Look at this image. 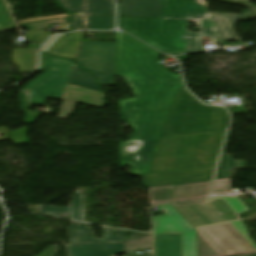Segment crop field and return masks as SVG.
Returning <instances> with one entry per match:
<instances>
[{
    "label": "crop field",
    "instance_id": "8a807250",
    "mask_svg": "<svg viewBox=\"0 0 256 256\" xmlns=\"http://www.w3.org/2000/svg\"><path fill=\"white\" fill-rule=\"evenodd\" d=\"M116 76L129 82L135 99L122 100L121 109L135 135L121 143L122 165L132 174L149 172L174 96L183 83L159 63V53L125 33H116Z\"/></svg>",
    "mask_w": 256,
    "mask_h": 256
},
{
    "label": "crop field",
    "instance_id": "ac0d7876",
    "mask_svg": "<svg viewBox=\"0 0 256 256\" xmlns=\"http://www.w3.org/2000/svg\"><path fill=\"white\" fill-rule=\"evenodd\" d=\"M201 31H187L190 21L159 20L118 16V25L156 49L169 55L202 51L204 37L218 39L219 33L212 18L197 21Z\"/></svg>",
    "mask_w": 256,
    "mask_h": 256
},
{
    "label": "crop field",
    "instance_id": "34b2d1b8",
    "mask_svg": "<svg viewBox=\"0 0 256 256\" xmlns=\"http://www.w3.org/2000/svg\"><path fill=\"white\" fill-rule=\"evenodd\" d=\"M224 133L162 137L149 173L215 165Z\"/></svg>",
    "mask_w": 256,
    "mask_h": 256
},
{
    "label": "crop field",
    "instance_id": "412701ff",
    "mask_svg": "<svg viewBox=\"0 0 256 256\" xmlns=\"http://www.w3.org/2000/svg\"><path fill=\"white\" fill-rule=\"evenodd\" d=\"M228 124L225 109L204 106L182 84L162 136L225 131Z\"/></svg>",
    "mask_w": 256,
    "mask_h": 256
},
{
    "label": "crop field",
    "instance_id": "f4fd0767",
    "mask_svg": "<svg viewBox=\"0 0 256 256\" xmlns=\"http://www.w3.org/2000/svg\"><path fill=\"white\" fill-rule=\"evenodd\" d=\"M197 229L199 256L256 254V244L248 237V231L242 220Z\"/></svg>",
    "mask_w": 256,
    "mask_h": 256
},
{
    "label": "crop field",
    "instance_id": "dd49c442",
    "mask_svg": "<svg viewBox=\"0 0 256 256\" xmlns=\"http://www.w3.org/2000/svg\"><path fill=\"white\" fill-rule=\"evenodd\" d=\"M173 206L195 227L240 220L238 214L247 211L237 197H213L207 201Z\"/></svg>",
    "mask_w": 256,
    "mask_h": 256
},
{
    "label": "crop field",
    "instance_id": "e52e79f7",
    "mask_svg": "<svg viewBox=\"0 0 256 256\" xmlns=\"http://www.w3.org/2000/svg\"><path fill=\"white\" fill-rule=\"evenodd\" d=\"M74 63L49 56L47 72L22 89L32 93L31 105H45L46 98L62 100Z\"/></svg>",
    "mask_w": 256,
    "mask_h": 256
},
{
    "label": "crop field",
    "instance_id": "d8731c3e",
    "mask_svg": "<svg viewBox=\"0 0 256 256\" xmlns=\"http://www.w3.org/2000/svg\"><path fill=\"white\" fill-rule=\"evenodd\" d=\"M81 66L92 70L101 85H113L114 43L81 42L77 55Z\"/></svg>",
    "mask_w": 256,
    "mask_h": 256
},
{
    "label": "crop field",
    "instance_id": "5a996713",
    "mask_svg": "<svg viewBox=\"0 0 256 256\" xmlns=\"http://www.w3.org/2000/svg\"><path fill=\"white\" fill-rule=\"evenodd\" d=\"M166 214L155 217V234H182L183 256H197V231L170 205H159Z\"/></svg>",
    "mask_w": 256,
    "mask_h": 256
},
{
    "label": "crop field",
    "instance_id": "3316defc",
    "mask_svg": "<svg viewBox=\"0 0 256 256\" xmlns=\"http://www.w3.org/2000/svg\"><path fill=\"white\" fill-rule=\"evenodd\" d=\"M215 166L141 175L146 187L212 179Z\"/></svg>",
    "mask_w": 256,
    "mask_h": 256
},
{
    "label": "crop field",
    "instance_id": "28ad6ade",
    "mask_svg": "<svg viewBox=\"0 0 256 256\" xmlns=\"http://www.w3.org/2000/svg\"><path fill=\"white\" fill-rule=\"evenodd\" d=\"M70 244L125 242V231L103 227V239H96L92 228L71 222L68 228Z\"/></svg>",
    "mask_w": 256,
    "mask_h": 256
},
{
    "label": "crop field",
    "instance_id": "d1516ede",
    "mask_svg": "<svg viewBox=\"0 0 256 256\" xmlns=\"http://www.w3.org/2000/svg\"><path fill=\"white\" fill-rule=\"evenodd\" d=\"M103 99H106V97L102 92L68 85L59 119H68L69 115L73 112L76 102L101 108L105 103Z\"/></svg>",
    "mask_w": 256,
    "mask_h": 256
},
{
    "label": "crop field",
    "instance_id": "22f410ed",
    "mask_svg": "<svg viewBox=\"0 0 256 256\" xmlns=\"http://www.w3.org/2000/svg\"><path fill=\"white\" fill-rule=\"evenodd\" d=\"M161 8L164 18L201 19L210 15L198 0H161Z\"/></svg>",
    "mask_w": 256,
    "mask_h": 256
},
{
    "label": "crop field",
    "instance_id": "cbeb9de0",
    "mask_svg": "<svg viewBox=\"0 0 256 256\" xmlns=\"http://www.w3.org/2000/svg\"><path fill=\"white\" fill-rule=\"evenodd\" d=\"M118 15L162 17L160 0H118Z\"/></svg>",
    "mask_w": 256,
    "mask_h": 256
},
{
    "label": "crop field",
    "instance_id": "5142ce71",
    "mask_svg": "<svg viewBox=\"0 0 256 256\" xmlns=\"http://www.w3.org/2000/svg\"><path fill=\"white\" fill-rule=\"evenodd\" d=\"M71 256H111L125 252L126 243L68 245Z\"/></svg>",
    "mask_w": 256,
    "mask_h": 256
},
{
    "label": "crop field",
    "instance_id": "d9b57169",
    "mask_svg": "<svg viewBox=\"0 0 256 256\" xmlns=\"http://www.w3.org/2000/svg\"><path fill=\"white\" fill-rule=\"evenodd\" d=\"M212 181L175 185L171 202L190 201L206 198Z\"/></svg>",
    "mask_w": 256,
    "mask_h": 256
},
{
    "label": "crop field",
    "instance_id": "733c2abd",
    "mask_svg": "<svg viewBox=\"0 0 256 256\" xmlns=\"http://www.w3.org/2000/svg\"><path fill=\"white\" fill-rule=\"evenodd\" d=\"M155 256H182L181 235H155Z\"/></svg>",
    "mask_w": 256,
    "mask_h": 256
},
{
    "label": "crop field",
    "instance_id": "4a817a6b",
    "mask_svg": "<svg viewBox=\"0 0 256 256\" xmlns=\"http://www.w3.org/2000/svg\"><path fill=\"white\" fill-rule=\"evenodd\" d=\"M126 242V256H137V250L142 251L138 256H152V253H146V250H152V237L150 235L134 233Z\"/></svg>",
    "mask_w": 256,
    "mask_h": 256
},
{
    "label": "crop field",
    "instance_id": "bc2a9ffb",
    "mask_svg": "<svg viewBox=\"0 0 256 256\" xmlns=\"http://www.w3.org/2000/svg\"><path fill=\"white\" fill-rule=\"evenodd\" d=\"M38 49H14V63L20 67L19 73H31L37 67Z\"/></svg>",
    "mask_w": 256,
    "mask_h": 256
},
{
    "label": "crop field",
    "instance_id": "214f88e0",
    "mask_svg": "<svg viewBox=\"0 0 256 256\" xmlns=\"http://www.w3.org/2000/svg\"><path fill=\"white\" fill-rule=\"evenodd\" d=\"M84 32L68 34L63 40L56 44L50 53L76 56Z\"/></svg>",
    "mask_w": 256,
    "mask_h": 256
},
{
    "label": "crop field",
    "instance_id": "92a150f3",
    "mask_svg": "<svg viewBox=\"0 0 256 256\" xmlns=\"http://www.w3.org/2000/svg\"><path fill=\"white\" fill-rule=\"evenodd\" d=\"M230 133L228 134V138L224 147V151L218 166V171H217V177L216 179L219 178H232L234 175L235 168H244L245 161H235L230 155L224 154L228 140L230 137Z\"/></svg>",
    "mask_w": 256,
    "mask_h": 256
},
{
    "label": "crop field",
    "instance_id": "dafd665d",
    "mask_svg": "<svg viewBox=\"0 0 256 256\" xmlns=\"http://www.w3.org/2000/svg\"><path fill=\"white\" fill-rule=\"evenodd\" d=\"M223 41H241L235 33V24L237 19L219 17L211 15Z\"/></svg>",
    "mask_w": 256,
    "mask_h": 256
},
{
    "label": "crop field",
    "instance_id": "00972430",
    "mask_svg": "<svg viewBox=\"0 0 256 256\" xmlns=\"http://www.w3.org/2000/svg\"><path fill=\"white\" fill-rule=\"evenodd\" d=\"M71 208H58V207H47L41 206L39 209L40 213H51V214H64L71 211L73 220L82 221V197L81 194H74Z\"/></svg>",
    "mask_w": 256,
    "mask_h": 256
},
{
    "label": "crop field",
    "instance_id": "a9b5d70f",
    "mask_svg": "<svg viewBox=\"0 0 256 256\" xmlns=\"http://www.w3.org/2000/svg\"><path fill=\"white\" fill-rule=\"evenodd\" d=\"M68 84L84 87L88 89L102 91L99 85L96 83L93 75L83 70L75 64L71 79ZM103 92V91H102Z\"/></svg>",
    "mask_w": 256,
    "mask_h": 256
},
{
    "label": "crop field",
    "instance_id": "4177f3b9",
    "mask_svg": "<svg viewBox=\"0 0 256 256\" xmlns=\"http://www.w3.org/2000/svg\"><path fill=\"white\" fill-rule=\"evenodd\" d=\"M86 13L115 15L114 0H86Z\"/></svg>",
    "mask_w": 256,
    "mask_h": 256
},
{
    "label": "crop field",
    "instance_id": "730fd06b",
    "mask_svg": "<svg viewBox=\"0 0 256 256\" xmlns=\"http://www.w3.org/2000/svg\"><path fill=\"white\" fill-rule=\"evenodd\" d=\"M172 190L173 185L151 188L149 192L150 203L160 204L170 202Z\"/></svg>",
    "mask_w": 256,
    "mask_h": 256
},
{
    "label": "crop field",
    "instance_id": "eef30255",
    "mask_svg": "<svg viewBox=\"0 0 256 256\" xmlns=\"http://www.w3.org/2000/svg\"><path fill=\"white\" fill-rule=\"evenodd\" d=\"M115 28L114 16H88V29L111 30Z\"/></svg>",
    "mask_w": 256,
    "mask_h": 256
},
{
    "label": "crop field",
    "instance_id": "ae1a2a85",
    "mask_svg": "<svg viewBox=\"0 0 256 256\" xmlns=\"http://www.w3.org/2000/svg\"><path fill=\"white\" fill-rule=\"evenodd\" d=\"M71 19H70V17H67V18H61V19H54V20H48V21L22 24L20 26L24 27L26 29L44 30V29H47V28L51 27L52 24L67 23V27H66L65 30H68L69 25L72 21Z\"/></svg>",
    "mask_w": 256,
    "mask_h": 256
},
{
    "label": "crop field",
    "instance_id": "d3111659",
    "mask_svg": "<svg viewBox=\"0 0 256 256\" xmlns=\"http://www.w3.org/2000/svg\"><path fill=\"white\" fill-rule=\"evenodd\" d=\"M17 28L3 0H0V32Z\"/></svg>",
    "mask_w": 256,
    "mask_h": 256
},
{
    "label": "crop field",
    "instance_id": "750c4746",
    "mask_svg": "<svg viewBox=\"0 0 256 256\" xmlns=\"http://www.w3.org/2000/svg\"><path fill=\"white\" fill-rule=\"evenodd\" d=\"M60 4L69 13L85 14V0H61Z\"/></svg>",
    "mask_w": 256,
    "mask_h": 256
},
{
    "label": "crop field",
    "instance_id": "bd1437ed",
    "mask_svg": "<svg viewBox=\"0 0 256 256\" xmlns=\"http://www.w3.org/2000/svg\"><path fill=\"white\" fill-rule=\"evenodd\" d=\"M217 1H223V2H228V3H234V4L243 5V6H245L246 8L250 9L248 13H250V12L256 10V7H255V6L246 3V2L249 1V0H217ZM248 13H246L245 15H247ZM211 14H213V13H211ZM214 15H221V14H214ZM245 15H222V16H229V17L241 18V17H243V16H245ZM254 17H256V11L253 12V13H251L250 15H248V16L242 18L240 21L246 22V21H248V20H250V19H252V18H254Z\"/></svg>",
    "mask_w": 256,
    "mask_h": 256
},
{
    "label": "crop field",
    "instance_id": "1d83c4d3",
    "mask_svg": "<svg viewBox=\"0 0 256 256\" xmlns=\"http://www.w3.org/2000/svg\"><path fill=\"white\" fill-rule=\"evenodd\" d=\"M19 96H20V100H21L22 111L24 113H26V118L24 119V121L27 124H30L39 116L40 113L28 111V109H27L28 108L27 94L19 92Z\"/></svg>",
    "mask_w": 256,
    "mask_h": 256
},
{
    "label": "crop field",
    "instance_id": "120bbe31",
    "mask_svg": "<svg viewBox=\"0 0 256 256\" xmlns=\"http://www.w3.org/2000/svg\"><path fill=\"white\" fill-rule=\"evenodd\" d=\"M52 33L45 31L29 30L25 35L29 42L44 43Z\"/></svg>",
    "mask_w": 256,
    "mask_h": 256
},
{
    "label": "crop field",
    "instance_id": "d32e631a",
    "mask_svg": "<svg viewBox=\"0 0 256 256\" xmlns=\"http://www.w3.org/2000/svg\"><path fill=\"white\" fill-rule=\"evenodd\" d=\"M28 129L29 127H25L20 130L10 132L11 141H13L15 145L29 143L26 137Z\"/></svg>",
    "mask_w": 256,
    "mask_h": 256
},
{
    "label": "crop field",
    "instance_id": "5866460e",
    "mask_svg": "<svg viewBox=\"0 0 256 256\" xmlns=\"http://www.w3.org/2000/svg\"><path fill=\"white\" fill-rule=\"evenodd\" d=\"M229 189H230V179H219V180H216L213 193L224 195V194H227Z\"/></svg>",
    "mask_w": 256,
    "mask_h": 256
},
{
    "label": "crop field",
    "instance_id": "028f5c9d",
    "mask_svg": "<svg viewBox=\"0 0 256 256\" xmlns=\"http://www.w3.org/2000/svg\"><path fill=\"white\" fill-rule=\"evenodd\" d=\"M72 16L74 18V22L69 32L84 29V16H78V15H72Z\"/></svg>",
    "mask_w": 256,
    "mask_h": 256
},
{
    "label": "crop field",
    "instance_id": "e1f06a70",
    "mask_svg": "<svg viewBox=\"0 0 256 256\" xmlns=\"http://www.w3.org/2000/svg\"><path fill=\"white\" fill-rule=\"evenodd\" d=\"M67 16H69V15L63 14V15H56V16H50V17H43V18H36V19H30V20H23V21H20L19 24L28 23V22H35V21H41V20L54 19V18H61V17H67Z\"/></svg>",
    "mask_w": 256,
    "mask_h": 256
},
{
    "label": "crop field",
    "instance_id": "0bd39190",
    "mask_svg": "<svg viewBox=\"0 0 256 256\" xmlns=\"http://www.w3.org/2000/svg\"><path fill=\"white\" fill-rule=\"evenodd\" d=\"M59 250L58 246H50L40 256H54Z\"/></svg>",
    "mask_w": 256,
    "mask_h": 256
},
{
    "label": "crop field",
    "instance_id": "b80d0937",
    "mask_svg": "<svg viewBox=\"0 0 256 256\" xmlns=\"http://www.w3.org/2000/svg\"><path fill=\"white\" fill-rule=\"evenodd\" d=\"M65 35V34H64ZM64 35L55 36L41 52H48L52 46Z\"/></svg>",
    "mask_w": 256,
    "mask_h": 256
},
{
    "label": "crop field",
    "instance_id": "c035e120",
    "mask_svg": "<svg viewBox=\"0 0 256 256\" xmlns=\"http://www.w3.org/2000/svg\"><path fill=\"white\" fill-rule=\"evenodd\" d=\"M41 57H42V65L39 69L40 72H43L45 67H46V58H47V53H41Z\"/></svg>",
    "mask_w": 256,
    "mask_h": 256
},
{
    "label": "crop field",
    "instance_id": "c21b1889",
    "mask_svg": "<svg viewBox=\"0 0 256 256\" xmlns=\"http://www.w3.org/2000/svg\"><path fill=\"white\" fill-rule=\"evenodd\" d=\"M60 56H63V55H60ZM63 57H67V58H71V59L76 60V57H72V56H63Z\"/></svg>",
    "mask_w": 256,
    "mask_h": 256
},
{
    "label": "crop field",
    "instance_id": "03da06ac",
    "mask_svg": "<svg viewBox=\"0 0 256 256\" xmlns=\"http://www.w3.org/2000/svg\"><path fill=\"white\" fill-rule=\"evenodd\" d=\"M252 256H256V255H252Z\"/></svg>",
    "mask_w": 256,
    "mask_h": 256
}]
</instances>
